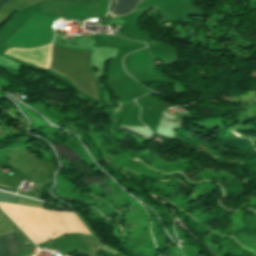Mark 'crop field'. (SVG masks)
Instances as JSON below:
<instances>
[{
	"label": "crop field",
	"instance_id": "crop-field-3",
	"mask_svg": "<svg viewBox=\"0 0 256 256\" xmlns=\"http://www.w3.org/2000/svg\"><path fill=\"white\" fill-rule=\"evenodd\" d=\"M140 1L141 0H112L110 12L115 16L125 15L131 12Z\"/></svg>",
	"mask_w": 256,
	"mask_h": 256
},
{
	"label": "crop field",
	"instance_id": "crop-field-4",
	"mask_svg": "<svg viewBox=\"0 0 256 256\" xmlns=\"http://www.w3.org/2000/svg\"><path fill=\"white\" fill-rule=\"evenodd\" d=\"M18 199H19V197H16L14 195L0 192V202H2V203L16 204Z\"/></svg>",
	"mask_w": 256,
	"mask_h": 256
},
{
	"label": "crop field",
	"instance_id": "crop-field-7",
	"mask_svg": "<svg viewBox=\"0 0 256 256\" xmlns=\"http://www.w3.org/2000/svg\"><path fill=\"white\" fill-rule=\"evenodd\" d=\"M1 186V185H0ZM2 187H5V186H2ZM2 187H0V189H4V190H9V189H7V188H9V187H7V188H2Z\"/></svg>",
	"mask_w": 256,
	"mask_h": 256
},
{
	"label": "crop field",
	"instance_id": "crop-field-2",
	"mask_svg": "<svg viewBox=\"0 0 256 256\" xmlns=\"http://www.w3.org/2000/svg\"><path fill=\"white\" fill-rule=\"evenodd\" d=\"M17 252L18 242L15 232L0 237V256H16Z\"/></svg>",
	"mask_w": 256,
	"mask_h": 256
},
{
	"label": "crop field",
	"instance_id": "crop-field-5",
	"mask_svg": "<svg viewBox=\"0 0 256 256\" xmlns=\"http://www.w3.org/2000/svg\"><path fill=\"white\" fill-rule=\"evenodd\" d=\"M11 0H0V7L5 5L6 3H8Z\"/></svg>",
	"mask_w": 256,
	"mask_h": 256
},
{
	"label": "crop field",
	"instance_id": "crop-field-6",
	"mask_svg": "<svg viewBox=\"0 0 256 256\" xmlns=\"http://www.w3.org/2000/svg\"><path fill=\"white\" fill-rule=\"evenodd\" d=\"M55 1H66V0H55ZM82 1H92V0H82Z\"/></svg>",
	"mask_w": 256,
	"mask_h": 256
},
{
	"label": "crop field",
	"instance_id": "crop-field-1",
	"mask_svg": "<svg viewBox=\"0 0 256 256\" xmlns=\"http://www.w3.org/2000/svg\"><path fill=\"white\" fill-rule=\"evenodd\" d=\"M89 53L53 46L50 68L68 79L84 94L97 99L94 79L87 65Z\"/></svg>",
	"mask_w": 256,
	"mask_h": 256
}]
</instances>
